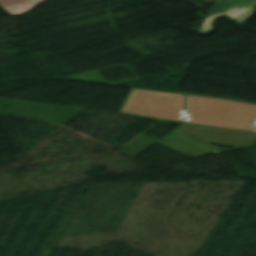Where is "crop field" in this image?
I'll list each match as a JSON object with an SVG mask.
<instances>
[{"label": "crop field", "mask_w": 256, "mask_h": 256, "mask_svg": "<svg viewBox=\"0 0 256 256\" xmlns=\"http://www.w3.org/2000/svg\"><path fill=\"white\" fill-rule=\"evenodd\" d=\"M186 121L256 130V105L187 95Z\"/></svg>", "instance_id": "1"}, {"label": "crop field", "mask_w": 256, "mask_h": 256, "mask_svg": "<svg viewBox=\"0 0 256 256\" xmlns=\"http://www.w3.org/2000/svg\"><path fill=\"white\" fill-rule=\"evenodd\" d=\"M121 113L184 121V95L132 89Z\"/></svg>", "instance_id": "2"}, {"label": "crop field", "mask_w": 256, "mask_h": 256, "mask_svg": "<svg viewBox=\"0 0 256 256\" xmlns=\"http://www.w3.org/2000/svg\"><path fill=\"white\" fill-rule=\"evenodd\" d=\"M160 144L169 147L175 151L181 152L183 154L192 156H200L208 153H212V151L217 150L222 151L220 149L181 137L177 135H170L166 140L161 142Z\"/></svg>", "instance_id": "3"}, {"label": "crop field", "mask_w": 256, "mask_h": 256, "mask_svg": "<svg viewBox=\"0 0 256 256\" xmlns=\"http://www.w3.org/2000/svg\"><path fill=\"white\" fill-rule=\"evenodd\" d=\"M255 8H256V0H235L226 13L206 18L205 23L199 32L207 33L210 30H212L213 26L211 23L216 17L221 15H226L236 20L238 23L242 25L243 22L248 18V16L253 12ZM242 9L245 11L240 12Z\"/></svg>", "instance_id": "4"}, {"label": "crop field", "mask_w": 256, "mask_h": 256, "mask_svg": "<svg viewBox=\"0 0 256 256\" xmlns=\"http://www.w3.org/2000/svg\"><path fill=\"white\" fill-rule=\"evenodd\" d=\"M45 0H0V6L13 16L29 12L38 3Z\"/></svg>", "instance_id": "5"}, {"label": "crop field", "mask_w": 256, "mask_h": 256, "mask_svg": "<svg viewBox=\"0 0 256 256\" xmlns=\"http://www.w3.org/2000/svg\"><path fill=\"white\" fill-rule=\"evenodd\" d=\"M234 0H218L212 8L208 11L207 15L218 14L226 11Z\"/></svg>", "instance_id": "6"}, {"label": "crop field", "mask_w": 256, "mask_h": 256, "mask_svg": "<svg viewBox=\"0 0 256 256\" xmlns=\"http://www.w3.org/2000/svg\"><path fill=\"white\" fill-rule=\"evenodd\" d=\"M217 0H204V3L205 4H210V3H214L216 2Z\"/></svg>", "instance_id": "7"}]
</instances>
